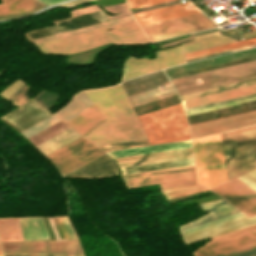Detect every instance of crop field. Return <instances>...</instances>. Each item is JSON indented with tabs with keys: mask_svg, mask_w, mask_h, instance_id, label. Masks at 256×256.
<instances>
[{
	"mask_svg": "<svg viewBox=\"0 0 256 256\" xmlns=\"http://www.w3.org/2000/svg\"><path fill=\"white\" fill-rule=\"evenodd\" d=\"M223 183L256 168V125L215 135ZM214 135L192 140L198 183H222Z\"/></svg>",
	"mask_w": 256,
	"mask_h": 256,
	"instance_id": "1",
	"label": "crop field"
},
{
	"mask_svg": "<svg viewBox=\"0 0 256 256\" xmlns=\"http://www.w3.org/2000/svg\"><path fill=\"white\" fill-rule=\"evenodd\" d=\"M107 118L84 137L96 146L146 139L121 88L84 92Z\"/></svg>",
	"mask_w": 256,
	"mask_h": 256,
	"instance_id": "2",
	"label": "crop field"
},
{
	"mask_svg": "<svg viewBox=\"0 0 256 256\" xmlns=\"http://www.w3.org/2000/svg\"><path fill=\"white\" fill-rule=\"evenodd\" d=\"M110 31L105 29L116 28ZM109 42L116 44L148 43L139 27L133 21L37 44L36 46L48 54H70L87 50Z\"/></svg>",
	"mask_w": 256,
	"mask_h": 256,
	"instance_id": "3",
	"label": "crop field"
},
{
	"mask_svg": "<svg viewBox=\"0 0 256 256\" xmlns=\"http://www.w3.org/2000/svg\"><path fill=\"white\" fill-rule=\"evenodd\" d=\"M122 178L127 188L159 183L165 198L208 191L196 184L193 166L125 175Z\"/></svg>",
	"mask_w": 256,
	"mask_h": 256,
	"instance_id": "4",
	"label": "crop field"
},
{
	"mask_svg": "<svg viewBox=\"0 0 256 256\" xmlns=\"http://www.w3.org/2000/svg\"><path fill=\"white\" fill-rule=\"evenodd\" d=\"M137 118L150 144L189 139L180 104Z\"/></svg>",
	"mask_w": 256,
	"mask_h": 256,
	"instance_id": "5",
	"label": "crop field"
},
{
	"mask_svg": "<svg viewBox=\"0 0 256 256\" xmlns=\"http://www.w3.org/2000/svg\"><path fill=\"white\" fill-rule=\"evenodd\" d=\"M102 154L104 153L81 138L47 155V157L56 165L63 175Z\"/></svg>",
	"mask_w": 256,
	"mask_h": 256,
	"instance_id": "6",
	"label": "crop field"
},
{
	"mask_svg": "<svg viewBox=\"0 0 256 256\" xmlns=\"http://www.w3.org/2000/svg\"><path fill=\"white\" fill-rule=\"evenodd\" d=\"M182 63L185 61L180 45L168 50L156 51V58L152 60L146 58L135 60L129 57L124 62L121 81Z\"/></svg>",
	"mask_w": 256,
	"mask_h": 256,
	"instance_id": "7",
	"label": "crop field"
},
{
	"mask_svg": "<svg viewBox=\"0 0 256 256\" xmlns=\"http://www.w3.org/2000/svg\"><path fill=\"white\" fill-rule=\"evenodd\" d=\"M204 247L198 248L194 256H210L256 243V224L211 238Z\"/></svg>",
	"mask_w": 256,
	"mask_h": 256,
	"instance_id": "8",
	"label": "crop field"
},
{
	"mask_svg": "<svg viewBox=\"0 0 256 256\" xmlns=\"http://www.w3.org/2000/svg\"><path fill=\"white\" fill-rule=\"evenodd\" d=\"M239 213H241V212H239ZM239 213L228 216V217H224V218H221V219H218V220H215V221H212V222L200 225V226H196V227L184 230L183 232L186 235V234L196 232V231H199V230H202V229L214 226V225H218V224H221V223L233 220V219L243 217L242 216L243 214L241 213L242 214L241 215ZM255 223H256V217L248 219L245 216L243 218L233 220V221H230V222H227V223L215 226V227H211V228H208V229L196 232V233H192V234H189V235H186V236H184L182 231L180 233H181V236H182L185 244H187V243L192 242V241L209 238V237H212V236L223 234V233H226V232H229V231H232V230H236V229H239V228H242V227H245V226H248V225H252V224H255Z\"/></svg>",
	"mask_w": 256,
	"mask_h": 256,
	"instance_id": "9",
	"label": "crop field"
},
{
	"mask_svg": "<svg viewBox=\"0 0 256 256\" xmlns=\"http://www.w3.org/2000/svg\"><path fill=\"white\" fill-rule=\"evenodd\" d=\"M2 251L81 254L77 240L1 242Z\"/></svg>",
	"mask_w": 256,
	"mask_h": 256,
	"instance_id": "10",
	"label": "crop field"
},
{
	"mask_svg": "<svg viewBox=\"0 0 256 256\" xmlns=\"http://www.w3.org/2000/svg\"><path fill=\"white\" fill-rule=\"evenodd\" d=\"M252 124H256V111L192 125L190 131L195 138Z\"/></svg>",
	"mask_w": 256,
	"mask_h": 256,
	"instance_id": "11",
	"label": "crop field"
},
{
	"mask_svg": "<svg viewBox=\"0 0 256 256\" xmlns=\"http://www.w3.org/2000/svg\"><path fill=\"white\" fill-rule=\"evenodd\" d=\"M107 21V18L104 13L101 11L85 14L73 18H67L62 20H56L54 21L56 26L44 28L36 31H32L29 33H26L27 39H35L99 22Z\"/></svg>",
	"mask_w": 256,
	"mask_h": 256,
	"instance_id": "12",
	"label": "crop field"
},
{
	"mask_svg": "<svg viewBox=\"0 0 256 256\" xmlns=\"http://www.w3.org/2000/svg\"><path fill=\"white\" fill-rule=\"evenodd\" d=\"M186 4L189 2L135 14L134 17L143 26L200 12L195 7L188 8Z\"/></svg>",
	"mask_w": 256,
	"mask_h": 256,
	"instance_id": "13",
	"label": "crop field"
},
{
	"mask_svg": "<svg viewBox=\"0 0 256 256\" xmlns=\"http://www.w3.org/2000/svg\"><path fill=\"white\" fill-rule=\"evenodd\" d=\"M116 174L118 170L113 159L104 154L64 176L96 178Z\"/></svg>",
	"mask_w": 256,
	"mask_h": 256,
	"instance_id": "14",
	"label": "crop field"
},
{
	"mask_svg": "<svg viewBox=\"0 0 256 256\" xmlns=\"http://www.w3.org/2000/svg\"><path fill=\"white\" fill-rule=\"evenodd\" d=\"M48 115L50 114L33 101L2 118L22 130Z\"/></svg>",
	"mask_w": 256,
	"mask_h": 256,
	"instance_id": "15",
	"label": "crop field"
},
{
	"mask_svg": "<svg viewBox=\"0 0 256 256\" xmlns=\"http://www.w3.org/2000/svg\"><path fill=\"white\" fill-rule=\"evenodd\" d=\"M189 157H192L191 148L167 151V152H160V153H153V154L131 156V157H124V158H117L116 160L118 162V166L122 167V166H130V165L167 161V160L189 158Z\"/></svg>",
	"mask_w": 256,
	"mask_h": 256,
	"instance_id": "16",
	"label": "crop field"
},
{
	"mask_svg": "<svg viewBox=\"0 0 256 256\" xmlns=\"http://www.w3.org/2000/svg\"><path fill=\"white\" fill-rule=\"evenodd\" d=\"M199 207L201 209L206 210L207 212H209V214L202 216L186 225L180 226L179 230H184L208 221H212L236 212H239V210H237L235 207H233L231 204H229L228 202H226L223 199L220 200H216V201H212V202H208V203H204V204H200Z\"/></svg>",
	"mask_w": 256,
	"mask_h": 256,
	"instance_id": "17",
	"label": "crop field"
},
{
	"mask_svg": "<svg viewBox=\"0 0 256 256\" xmlns=\"http://www.w3.org/2000/svg\"><path fill=\"white\" fill-rule=\"evenodd\" d=\"M0 19L19 17L36 11L45 5L36 0H1Z\"/></svg>",
	"mask_w": 256,
	"mask_h": 256,
	"instance_id": "18",
	"label": "crop field"
},
{
	"mask_svg": "<svg viewBox=\"0 0 256 256\" xmlns=\"http://www.w3.org/2000/svg\"><path fill=\"white\" fill-rule=\"evenodd\" d=\"M212 190L224 197L247 216L256 215V206L252 204L253 202L251 203L249 200H247L248 198L246 199L227 183Z\"/></svg>",
	"mask_w": 256,
	"mask_h": 256,
	"instance_id": "19",
	"label": "crop field"
},
{
	"mask_svg": "<svg viewBox=\"0 0 256 256\" xmlns=\"http://www.w3.org/2000/svg\"><path fill=\"white\" fill-rule=\"evenodd\" d=\"M209 20L207 17H205L202 13L191 15V16H186L178 19H173L169 21H164L156 24H151L147 26H143L142 29L146 33V35L165 31V30H170L186 25H191L203 21Z\"/></svg>",
	"mask_w": 256,
	"mask_h": 256,
	"instance_id": "20",
	"label": "crop field"
},
{
	"mask_svg": "<svg viewBox=\"0 0 256 256\" xmlns=\"http://www.w3.org/2000/svg\"><path fill=\"white\" fill-rule=\"evenodd\" d=\"M104 118L105 117L102 115V113L93 104L79 116L69 122L68 125L83 135Z\"/></svg>",
	"mask_w": 256,
	"mask_h": 256,
	"instance_id": "21",
	"label": "crop field"
},
{
	"mask_svg": "<svg viewBox=\"0 0 256 256\" xmlns=\"http://www.w3.org/2000/svg\"><path fill=\"white\" fill-rule=\"evenodd\" d=\"M256 92V85L184 101L185 109Z\"/></svg>",
	"mask_w": 256,
	"mask_h": 256,
	"instance_id": "22",
	"label": "crop field"
},
{
	"mask_svg": "<svg viewBox=\"0 0 256 256\" xmlns=\"http://www.w3.org/2000/svg\"><path fill=\"white\" fill-rule=\"evenodd\" d=\"M194 39L195 41L183 45L185 53L233 42L232 40L222 36L219 31L196 36Z\"/></svg>",
	"mask_w": 256,
	"mask_h": 256,
	"instance_id": "23",
	"label": "crop field"
},
{
	"mask_svg": "<svg viewBox=\"0 0 256 256\" xmlns=\"http://www.w3.org/2000/svg\"><path fill=\"white\" fill-rule=\"evenodd\" d=\"M193 165L192 158L119 168L122 175Z\"/></svg>",
	"mask_w": 256,
	"mask_h": 256,
	"instance_id": "24",
	"label": "crop field"
},
{
	"mask_svg": "<svg viewBox=\"0 0 256 256\" xmlns=\"http://www.w3.org/2000/svg\"><path fill=\"white\" fill-rule=\"evenodd\" d=\"M24 239L49 238L41 218H18ZM44 240V239H34Z\"/></svg>",
	"mask_w": 256,
	"mask_h": 256,
	"instance_id": "25",
	"label": "crop field"
},
{
	"mask_svg": "<svg viewBox=\"0 0 256 256\" xmlns=\"http://www.w3.org/2000/svg\"><path fill=\"white\" fill-rule=\"evenodd\" d=\"M93 104L82 92L75 95L65 109L55 114L66 123ZM60 119V120H61ZM64 122V123H65Z\"/></svg>",
	"mask_w": 256,
	"mask_h": 256,
	"instance_id": "26",
	"label": "crop field"
},
{
	"mask_svg": "<svg viewBox=\"0 0 256 256\" xmlns=\"http://www.w3.org/2000/svg\"><path fill=\"white\" fill-rule=\"evenodd\" d=\"M188 147H191L190 141L166 144V145H159V146H152V147L130 149V150H123V151H116V152H109L108 154L110 156H112L113 158H117V157H124V156H131V155H138V154H145V153H152V152H160V151H167V150H174V149H181V148H188Z\"/></svg>",
	"mask_w": 256,
	"mask_h": 256,
	"instance_id": "27",
	"label": "crop field"
},
{
	"mask_svg": "<svg viewBox=\"0 0 256 256\" xmlns=\"http://www.w3.org/2000/svg\"><path fill=\"white\" fill-rule=\"evenodd\" d=\"M256 44V37L185 54L186 60Z\"/></svg>",
	"mask_w": 256,
	"mask_h": 256,
	"instance_id": "28",
	"label": "crop field"
},
{
	"mask_svg": "<svg viewBox=\"0 0 256 256\" xmlns=\"http://www.w3.org/2000/svg\"><path fill=\"white\" fill-rule=\"evenodd\" d=\"M211 27H215V25L210 21H208V22H204L196 25H191V26H187L179 29H174L166 32L149 35L148 37L150 38L151 41H156V40L167 39V38L195 32V31L211 28Z\"/></svg>",
	"mask_w": 256,
	"mask_h": 256,
	"instance_id": "29",
	"label": "crop field"
},
{
	"mask_svg": "<svg viewBox=\"0 0 256 256\" xmlns=\"http://www.w3.org/2000/svg\"><path fill=\"white\" fill-rule=\"evenodd\" d=\"M23 240L18 219L0 220V241Z\"/></svg>",
	"mask_w": 256,
	"mask_h": 256,
	"instance_id": "30",
	"label": "crop field"
},
{
	"mask_svg": "<svg viewBox=\"0 0 256 256\" xmlns=\"http://www.w3.org/2000/svg\"><path fill=\"white\" fill-rule=\"evenodd\" d=\"M132 19H134V17L129 16V17H125V18H121V19H117V20H113V21H109V22H105V23L85 27V28H80V29H76V30H72V31H68V32H64V33H60V34H56V35L36 39V40H32L31 42L36 44V43H40V42H44V41H48V40H52V39H56V38H60V37L80 33V32H84V31H88V30H92V29H96V28H100V27H104V26H108V25H112V24H116V23H120V22H124V21H128V20H132Z\"/></svg>",
	"mask_w": 256,
	"mask_h": 256,
	"instance_id": "31",
	"label": "crop field"
},
{
	"mask_svg": "<svg viewBox=\"0 0 256 256\" xmlns=\"http://www.w3.org/2000/svg\"><path fill=\"white\" fill-rule=\"evenodd\" d=\"M253 84H256V79L241 82V83H236V84H232V85H228V86H224V87H219V88H215V89H211V90H207V91H203V92L190 94V95L182 96L180 98L182 101H184V100H188V99H192V98H197V97L210 95V94H214V93H218V92H223V91H227V90H231V89L245 87V86H249V85H253Z\"/></svg>",
	"mask_w": 256,
	"mask_h": 256,
	"instance_id": "32",
	"label": "crop field"
},
{
	"mask_svg": "<svg viewBox=\"0 0 256 256\" xmlns=\"http://www.w3.org/2000/svg\"><path fill=\"white\" fill-rule=\"evenodd\" d=\"M233 188L239 191L242 195L248 198L251 202L256 205V192H254L251 188H249L246 184H244L238 178L228 182Z\"/></svg>",
	"mask_w": 256,
	"mask_h": 256,
	"instance_id": "33",
	"label": "crop field"
},
{
	"mask_svg": "<svg viewBox=\"0 0 256 256\" xmlns=\"http://www.w3.org/2000/svg\"><path fill=\"white\" fill-rule=\"evenodd\" d=\"M31 86L28 84H24L21 86L17 91H15L10 97H8L6 100L14 104L15 106H20L23 103L27 102L31 98L26 97L25 92L28 88Z\"/></svg>",
	"mask_w": 256,
	"mask_h": 256,
	"instance_id": "34",
	"label": "crop field"
},
{
	"mask_svg": "<svg viewBox=\"0 0 256 256\" xmlns=\"http://www.w3.org/2000/svg\"><path fill=\"white\" fill-rule=\"evenodd\" d=\"M58 121H60V120H58L54 116H51V117L41 121L40 123L32 126L31 128L21 132V133L27 138V137H29V136H31V135H33V134L43 130L44 128H46V127H48V126H50V125H52V124H54V123H56Z\"/></svg>",
	"mask_w": 256,
	"mask_h": 256,
	"instance_id": "35",
	"label": "crop field"
},
{
	"mask_svg": "<svg viewBox=\"0 0 256 256\" xmlns=\"http://www.w3.org/2000/svg\"><path fill=\"white\" fill-rule=\"evenodd\" d=\"M145 145H148V143H147L146 140H143V141L122 143V144L100 146L98 148L103 150V151H108V150H116V149L130 148V147L145 146Z\"/></svg>",
	"mask_w": 256,
	"mask_h": 256,
	"instance_id": "36",
	"label": "crop field"
},
{
	"mask_svg": "<svg viewBox=\"0 0 256 256\" xmlns=\"http://www.w3.org/2000/svg\"><path fill=\"white\" fill-rule=\"evenodd\" d=\"M170 0H127L130 9L150 6Z\"/></svg>",
	"mask_w": 256,
	"mask_h": 256,
	"instance_id": "37",
	"label": "crop field"
},
{
	"mask_svg": "<svg viewBox=\"0 0 256 256\" xmlns=\"http://www.w3.org/2000/svg\"><path fill=\"white\" fill-rule=\"evenodd\" d=\"M254 59H256V56L247 58V59H243V60H238V61H234V62H230V63L213 66V67H208V68H204V69H200V70H195V71H191V72H187V73H183V74L170 76L169 79L180 77V76H185V75H189V74H193V73H198V72H202V71H206V70H211V69H215V68H219V67H224V66H228V65H232V64H237V63H241V62H245V61H250V60H254Z\"/></svg>",
	"mask_w": 256,
	"mask_h": 256,
	"instance_id": "38",
	"label": "crop field"
},
{
	"mask_svg": "<svg viewBox=\"0 0 256 256\" xmlns=\"http://www.w3.org/2000/svg\"><path fill=\"white\" fill-rule=\"evenodd\" d=\"M255 99H256V96L247 98V99L230 102V103H226V104H221V105H217V106H213V107H209V108H204V109L188 112V113H186V115L187 116L193 115V114H197V113H201V112H205V111H209V110H214V109H218V108H222V107H226V106H230V105H235V104H239V103H243V102H247V101H251V100H255Z\"/></svg>",
	"mask_w": 256,
	"mask_h": 256,
	"instance_id": "39",
	"label": "crop field"
},
{
	"mask_svg": "<svg viewBox=\"0 0 256 256\" xmlns=\"http://www.w3.org/2000/svg\"><path fill=\"white\" fill-rule=\"evenodd\" d=\"M239 179L256 191V170L239 177Z\"/></svg>",
	"mask_w": 256,
	"mask_h": 256,
	"instance_id": "40",
	"label": "crop field"
},
{
	"mask_svg": "<svg viewBox=\"0 0 256 256\" xmlns=\"http://www.w3.org/2000/svg\"><path fill=\"white\" fill-rule=\"evenodd\" d=\"M4 256H81V255H58V254H35V253H3Z\"/></svg>",
	"mask_w": 256,
	"mask_h": 256,
	"instance_id": "41",
	"label": "crop field"
},
{
	"mask_svg": "<svg viewBox=\"0 0 256 256\" xmlns=\"http://www.w3.org/2000/svg\"><path fill=\"white\" fill-rule=\"evenodd\" d=\"M255 95H256V93L229 99V100H225V101H220V102H216V103H212V104H208V105H203V106H199V107H195V108H191V109H187L185 111L188 112V111H192V110H196V109H200V108H204V107H209V106H213V105H217V104H221V103H226V102H230V101H234V100H238V99H242V98H247V97H251V96H255Z\"/></svg>",
	"mask_w": 256,
	"mask_h": 256,
	"instance_id": "42",
	"label": "crop field"
},
{
	"mask_svg": "<svg viewBox=\"0 0 256 256\" xmlns=\"http://www.w3.org/2000/svg\"><path fill=\"white\" fill-rule=\"evenodd\" d=\"M253 249H256V244L248 246V247H245V248H242V249L226 252V253H224V255L225 256H232V255L244 253V252H247V251H250V250H253Z\"/></svg>",
	"mask_w": 256,
	"mask_h": 256,
	"instance_id": "43",
	"label": "crop field"
},
{
	"mask_svg": "<svg viewBox=\"0 0 256 256\" xmlns=\"http://www.w3.org/2000/svg\"><path fill=\"white\" fill-rule=\"evenodd\" d=\"M62 220H63V222H64V224H65V226H66V228H67L71 238L72 239H76V235H75V233H74V231H73V229H72V227H71L67 217H62Z\"/></svg>",
	"mask_w": 256,
	"mask_h": 256,
	"instance_id": "44",
	"label": "crop field"
},
{
	"mask_svg": "<svg viewBox=\"0 0 256 256\" xmlns=\"http://www.w3.org/2000/svg\"><path fill=\"white\" fill-rule=\"evenodd\" d=\"M250 47L251 46L240 48V49H235V50H231V51H227V52H222V53H218V54H214V55H209V56H205V57H201V58H196V59L188 60L186 62H190V61H194V60H198V59H203V58H207V57H211V56H216V55H220V54H224V53H229V52H233V51H237V50H242V49H246V48H250Z\"/></svg>",
	"mask_w": 256,
	"mask_h": 256,
	"instance_id": "45",
	"label": "crop field"
},
{
	"mask_svg": "<svg viewBox=\"0 0 256 256\" xmlns=\"http://www.w3.org/2000/svg\"><path fill=\"white\" fill-rule=\"evenodd\" d=\"M47 5H50V4H54V3H57V2H61V1H64V0H39Z\"/></svg>",
	"mask_w": 256,
	"mask_h": 256,
	"instance_id": "46",
	"label": "crop field"
},
{
	"mask_svg": "<svg viewBox=\"0 0 256 256\" xmlns=\"http://www.w3.org/2000/svg\"><path fill=\"white\" fill-rule=\"evenodd\" d=\"M58 219H59V222H60V224H61V227H62L63 233H64V235H65V238H66V239H70V237H69V235H68V233H67V231H66V229H65V227H64V225H63V223H62V221H61V219H60V217H59Z\"/></svg>",
	"mask_w": 256,
	"mask_h": 256,
	"instance_id": "47",
	"label": "crop field"
},
{
	"mask_svg": "<svg viewBox=\"0 0 256 256\" xmlns=\"http://www.w3.org/2000/svg\"><path fill=\"white\" fill-rule=\"evenodd\" d=\"M236 256H256V250H253L244 254L236 255Z\"/></svg>",
	"mask_w": 256,
	"mask_h": 256,
	"instance_id": "48",
	"label": "crop field"
},
{
	"mask_svg": "<svg viewBox=\"0 0 256 256\" xmlns=\"http://www.w3.org/2000/svg\"><path fill=\"white\" fill-rule=\"evenodd\" d=\"M243 36L244 38L256 36V31L244 33Z\"/></svg>",
	"mask_w": 256,
	"mask_h": 256,
	"instance_id": "49",
	"label": "crop field"
},
{
	"mask_svg": "<svg viewBox=\"0 0 256 256\" xmlns=\"http://www.w3.org/2000/svg\"><path fill=\"white\" fill-rule=\"evenodd\" d=\"M255 103H256V101L248 102V105L255 104ZM249 110H250V111H251V110H256V106L249 108Z\"/></svg>",
	"mask_w": 256,
	"mask_h": 256,
	"instance_id": "50",
	"label": "crop field"
},
{
	"mask_svg": "<svg viewBox=\"0 0 256 256\" xmlns=\"http://www.w3.org/2000/svg\"><path fill=\"white\" fill-rule=\"evenodd\" d=\"M0 254H2V252L0 251Z\"/></svg>",
	"mask_w": 256,
	"mask_h": 256,
	"instance_id": "51",
	"label": "crop field"
},
{
	"mask_svg": "<svg viewBox=\"0 0 256 256\" xmlns=\"http://www.w3.org/2000/svg\"><path fill=\"white\" fill-rule=\"evenodd\" d=\"M1 256V255H0Z\"/></svg>",
	"mask_w": 256,
	"mask_h": 256,
	"instance_id": "52",
	"label": "crop field"
}]
</instances>
